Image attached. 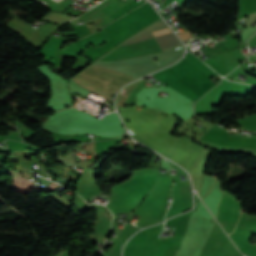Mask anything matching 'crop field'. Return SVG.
Instances as JSON below:
<instances>
[{
    "label": "crop field",
    "instance_id": "8a807250",
    "mask_svg": "<svg viewBox=\"0 0 256 256\" xmlns=\"http://www.w3.org/2000/svg\"><path fill=\"white\" fill-rule=\"evenodd\" d=\"M152 33H153L155 36H158V35L170 33V30L165 29V30H160V31L152 32Z\"/></svg>",
    "mask_w": 256,
    "mask_h": 256
}]
</instances>
